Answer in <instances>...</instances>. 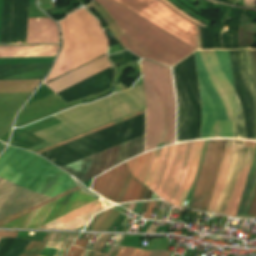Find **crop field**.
Wrapping results in <instances>:
<instances>
[{"label": "crop field", "instance_id": "crop-field-1", "mask_svg": "<svg viewBox=\"0 0 256 256\" xmlns=\"http://www.w3.org/2000/svg\"><path fill=\"white\" fill-rule=\"evenodd\" d=\"M0 175L48 198L76 185L73 178L39 156L8 147L0 156ZM0 176V218L48 198Z\"/></svg>", "mask_w": 256, "mask_h": 256}, {"label": "crop field", "instance_id": "crop-field-2", "mask_svg": "<svg viewBox=\"0 0 256 256\" xmlns=\"http://www.w3.org/2000/svg\"><path fill=\"white\" fill-rule=\"evenodd\" d=\"M202 101L201 139L236 138V97L229 51L195 53Z\"/></svg>", "mask_w": 256, "mask_h": 256}, {"label": "crop field", "instance_id": "crop-field-3", "mask_svg": "<svg viewBox=\"0 0 256 256\" xmlns=\"http://www.w3.org/2000/svg\"><path fill=\"white\" fill-rule=\"evenodd\" d=\"M144 108L143 85L90 105L74 107L53 115L62 123L34 133L46 142L27 150L35 152Z\"/></svg>", "mask_w": 256, "mask_h": 256}, {"label": "crop field", "instance_id": "crop-field-4", "mask_svg": "<svg viewBox=\"0 0 256 256\" xmlns=\"http://www.w3.org/2000/svg\"><path fill=\"white\" fill-rule=\"evenodd\" d=\"M95 1L124 32L121 43L141 57L172 66L196 50L114 0Z\"/></svg>", "mask_w": 256, "mask_h": 256}, {"label": "crop field", "instance_id": "crop-field-5", "mask_svg": "<svg viewBox=\"0 0 256 256\" xmlns=\"http://www.w3.org/2000/svg\"><path fill=\"white\" fill-rule=\"evenodd\" d=\"M203 141L181 143L154 150L143 184L170 204L178 206L185 190H189L191 186Z\"/></svg>", "mask_w": 256, "mask_h": 256}, {"label": "crop field", "instance_id": "crop-field-6", "mask_svg": "<svg viewBox=\"0 0 256 256\" xmlns=\"http://www.w3.org/2000/svg\"><path fill=\"white\" fill-rule=\"evenodd\" d=\"M147 103L146 151L175 143V99L169 68L139 61Z\"/></svg>", "mask_w": 256, "mask_h": 256}, {"label": "crop field", "instance_id": "crop-field-7", "mask_svg": "<svg viewBox=\"0 0 256 256\" xmlns=\"http://www.w3.org/2000/svg\"><path fill=\"white\" fill-rule=\"evenodd\" d=\"M63 49L46 81L55 79L103 54L108 41L96 20L80 9L60 21ZM45 81V83H46Z\"/></svg>", "mask_w": 256, "mask_h": 256}, {"label": "crop field", "instance_id": "crop-field-8", "mask_svg": "<svg viewBox=\"0 0 256 256\" xmlns=\"http://www.w3.org/2000/svg\"><path fill=\"white\" fill-rule=\"evenodd\" d=\"M256 142L228 140L208 212L235 216Z\"/></svg>", "mask_w": 256, "mask_h": 256}, {"label": "crop field", "instance_id": "crop-field-9", "mask_svg": "<svg viewBox=\"0 0 256 256\" xmlns=\"http://www.w3.org/2000/svg\"><path fill=\"white\" fill-rule=\"evenodd\" d=\"M151 152L126 161L132 175L141 183ZM126 163L95 178L91 190L116 203L138 200L142 184L131 175Z\"/></svg>", "mask_w": 256, "mask_h": 256}, {"label": "crop field", "instance_id": "crop-field-10", "mask_svg": "<svg viewBox=\"0 0 256 256\" xmlns=\"http://www.w3.org/2000/svg\"><path fill=\"white\" fill-rule=\"evenodd\" d=\"M147 20L191 45L197 49L196 45V27L188 23L191 21L197 25H203L195 19L189 17L166 0H159L169 9L180 15L171 12L157 0H116Z\"/></svg>", "mask_w": 256, "mask_h": 256}, {"label": "crop field", "instance_id": "crop-field-11", "mask_svg": "<svg viewBox=\"0 0 256 256\" xmlns=\"http://www.w3.org/2000/svg\"><path fill=\"white\" fill-rule=\"evenodd\" d=\"M96 199L99 197L87 195L82 189H79L1 227L37 228Z\"/></svg>", "mask_w": 256, "mask_h": 256}, {"label": "crop field", "instance_id": "crop-field-12", "mask_svg": "<svg viewBox=\"0 0 256 256\" xmlns=\"http://www.w3.org/2000/svg\"><path fill=\"white\" fill-rule=\"evenodd\" d=\"M227 140H210L189 209L207 210Z\"/></svg>", "mask_w": 256, "mask_h": 256}, {"label": "crop field", "instance_id": "crop-field-13", "mask_svg": "<svg viewBox=\"0 0 256 256\" xmlns=\"http://www.w3.org/2000/svg\"><path fill=\"white\" fill-rule=\"evenodd\" d=\"M59 43L58 27L49 18L29 19L26 44Z\"/></svg>", "mask_w": 256, "mask_h": 256}, {"label": "crop field", "instance_id": "crop-field-14", "mask_svg": "<svg viewBox=\"0 0 256 256\" xmlns=\"http://www.w3.org/2000/svg\"><path fill=\"white\" fill-rule=\"evenodd\" d=\"M50 64L0 65V80L43 79Z\"/></svg>", "mask_w": 256, "mask_h": 256}, {"label": "crop field", "instance_id": "crop-field-15", "mask_svg": "<svg viewBox=\"0 0 256 256\" xmlns=\"http://www.w3.org/2000/svg\"><path fill=\"white\" fill-rule=\"evenodd\" d=\"M59 45L0 47V57L55 56Z\"/></svg>", "mask_w": 256, "mask_h": 256}, {"label": "crop field", "instance_id": "crop-field-16", "mask_svg": "<svg viewBox=\"0 0 256 256\" xmlns=\"http://www.w3.org/2000/svg\"><path fill=\"white\" fill-rule=\"evenodd\" d=\"M256 187V150L249 170L237 215L247 216Z\"/></svg>", "mask_w": 256, "mask_h": 256}, {"label": "crop field", "instance_id": "crop-field-17", "mask_svg": "<svg viewBox=\"0 0 256 256\" xmlns=\"http://www.w3.org/2000/svg\"><path fill=\"white\" fill-rule=\"evenodd\" d=\"M50 235L51 233H47L46 237L42 242L27 240L24 243L18 256H39Z\"/></svg>", "mask_w": 256, "mask_h": 256}, {"label": "crop field", "instance_id": "crop-field-18", "mask_svg": "<svg viewBox=\"0 0 256 256\" xmlns=\"http://www.w3.org/2000/svg\"><path fill=\"white\" fill-rule=\"evenodd\" d=\"M13 0H5V12L1 44H9Z\"/></svg>", "mask_w": 256, "mask_h": 256}, {"label": "crop field", "instance_id": "crop-field-19", "mask_svg": "<svg viewBox=\"0 0 256 256\" xmlns=\"http://www.w3.org/2000/svg\"><path fill=\"white\" fill-rule=\"evenodd\" d=\"M119 213L120 212H118L117 210H115L113 208L108 209L107 212L104 214V216L97 223V225L94 227L93 230L107 231V229L110 227V225L113 223V221L119 215Z\"/></svg>", "mask_w": 256, "mask_h": 256}, {"label": "crop field", "instance_id": "crop-field-20", "mask_svg": "<svg viewBox=\"0 0 256 256\" xmlns=\"http://www.w3.org/2000/svg\"><path fill=\"white\" fill-rule=\"evenodd\" d=\"M81 188H83V187L81 186ZM77 189H79L78 186L76 188L72 189V190H69V191L64 192V193H62L60 195H57V196H55V197H53V198H51V199H49V200H47L45 202H42V203H40V204H38V205L28 209V210H25V211L19 212L17 214H14L12 216H9L7 218H4V219L0 220V226L5 224V223H7V222H9V221H11V220H13V219H16V218L22 216V215H24V214H26V213H28L30 211H33V210H35V209H37V208H39V207H41V206H43L45 204H48V203H50V202H52V201H54V200H56V199H58V198H60L62 196H65V195H67V194H69V193H71V192H73V191H75Z\"/></svg>", "mask_w": 256, "mask_h": 256}, {"label": "crop field", "instance_id": "crop-field-21", "mask_svg": "<svg viewBox=\"0 0 256 256\" xmlns=\"http://www.w3.org/2000/svg\"><path fill=\"white\" fill-rule=\"evenodd\" d=\"M99 205H101V203L98 200H96V201H94V202H92V203H90V204H88V205H86V206H84V207L74 211V212H71V213H69V214H67V215H65V216H63V217H61V218H59V219L49 223V224L59 225V224L65 222V221H67V220H69L71 218H74V217H76V216H78V215H80V214H82V213H84L86 211H89V210H91V209H93V208H95V207H97Z\"/></svg>", "mask_w": 256, "mask_h": 256}, {"label": "crop field", "instance_id": "crop-field-22", "mask_svg": "<svg viewBox=\"0 0 256 256\" xmlns=\"http://www.w3.org/2000/svg\"><path fill=\"white\" fill-rule=\"evenodd\" d=\"M144 112H145V110L142 111V112L136 113V114H134V115H131V116H129V117H126V118H124V119H121V120H118V121H116V122H113V123H111V124H108V125H105V126H103V127H100V128H98V129H95V130H93V131L87 132V133L82 134V135H80V136H77V137H75V138L69 139V140L64 141V142H62V143L56 144V145L51 146V147H49V148H46V149H44V150L38 151V152H36V153L39 154V153H41V152L47 151V150L52 149V148H54V147H57V146H59V145L65 144V143L70 142V141H72V140H75V139H77V138L83 137V136L88 135V134H90V133H93V132H95V131L101 130V129L106 128V127H108V126H111V125H113V124L119 123V122L124 121V120H126V119H129V118H131V117H134V116H137V115H139V114H142V113H144Z\"/></svg>", "mask_w": 256, "mask_h": 256}, {"label": "crop field", "instance_id": "crop-field-23", "mask_svg": "<svg viewBox=\"0 0 256 256\" xmlns=\"http://www.w3.org/2000/svg\"><path fill=\"white\" fill-rule=\"evenodd\" d=\"M249 53H250V60H251L255 93H256V50H249Z\"/></svg>", "mask_w": 256, "mask_h": 256}, {"label": "crop field", "instance_id": "crop-field-24", "mask_svg": "<svg viewBox=\"0 0 256 256\" xmlns=\"http://www.w3.org/2000/svg\"><path fill=\"white\" fill-rule=\"evenodd\" d=\"M135 248L123 247L115 252L113 256H130Z\"/></svg>", "mask_w": 256, "mask_h": 256}, {"label": "crop field", "instance_id": "crop-field-25", "mask_svg": "<svg viewBox=\"0 0 256 256\" xmlns=\"http://www.w3.org/2000/svg\"><path fill=\"white\" fill-rule=\"evenodd\" d=\"M106 211L96 215L94 217V219L91 221V223L87 226V228L85 230H92L93 227L96 225V223L99 221V219L103 216V214L105 213Z\"/></svg>", "mask_w": 256, "mask_h": 256}, {"label": "crop field", "instance_id": "crop-field-26", "mask_svg": "<svg viewBox=\"0 0 256 256\" xmlns=\"http://www.w3.org/2000/svg\"><path fill=\"white\" fill-rule=\"evenodd\" d=\"M82 253H83V250H80L76 247H71L69 253L66 256H81Z\"/></svg>", "mask_w": 256, "mask_h": 256}, {"label": "crop field", "instance_id": "crop-field-27", "mask_svg": "<svg viewBox=\"0 0 256 256\" xmlns=\"http://www.w3.org/2000/svg\"><path fill=\"white\" fill-rule=\"evenodd\" d=\"M248 216L256 217V192H255L253 202H252V205H251L250 212H249Z\"/></svg>", "mask_w": 256, "mask_h": 256}, {"label": "crop field", "instance_id": "crop-field-28", "mask_svg": "<svg viewBox=\"0 0 256 256\" xmlns=\"http://www.w3.org/2000/svg\"><path fill=\"white\" fill-rule=\"evenodd\" d=\"M151 251H142L140 249H135L131 256H148Z\"/></svg>", "mask_w": 256, "mask_h": 256}, {"label": "crop field", "instance_id": "crop-field-29", "mask_svg": "<svg viewBox=\"0 0 256 256\" xmlns=\"http://www.w3.org/2000/svg\"><path fill=\"white\" fill-rule=\"evenodd\" d=\"M90 240L88 239H82V240H77L74 245L76 246H80V247H83V248H86V246L88 245Z\"/></svg>", "mask_w": 256, "mask_h": 256}, {"label": "crop field", "instance_id": "crop-field-30", "mask_svg": "<svg viewBox=\"0 0 256 256\" xmlns=\"http://www.w3.org/2000/svg\"><path fill=\"white\" fill-rule=\"evenodd\" d=\"M18 232L14 231H0V239L2 236L16 237Z\"/></svg>", "mask_w": 256, "mask_h": 256}, {"label": "crop field", "instance_id": "crop-field-31", "mask_svg": "<svg viewBox=\"0 0 256 256\" xmlns=\"http://www.w3.org/2000/svg\"><path fill=\"white\" fill-rule=\"evenodd\" d=\"M155 202H156V201H150V202H149L148 209H147V211H146V213H145V215H144L143 218L148 219V217H149V215H150V213H151V211H152V209H153V207H154Z\"/></svg>", "mask_w": 256, "mask_h": 256}, {"label": "crop field", "instance_id": "crop-field-32", "mask_svg": "<svg viewBox=\"0 0 256 256\" xmlns=\"http://www.w3.org/2000/svg\"><path fill=\"white\" fill-rule=\"evenodd\" d=\"M162 251H152V253L149 256H159ZM170 252L163 251L160 256H170Z\"/></svg>", "mask_w": 256, "mask_h": 256}, {"label": "crop field", "instance_id": "crop-field-33", "mask_svg": "<svg viewBox=\"0 0 256 256\" xmlns=\"http://www.w3.org/2000/svg\"><path fill=\"white\" fill-rule=\"evenodd\" d=\"M112 235L110 234H107V236L104 238V240L101 242L100 246L98 247L97 249V252L101 253L105 243L109 240V238L111 237Z\"/></svg>", "mask_w": 256, "mask_h": 256}, {"label": "crop field", "instance_id": "crop-field-34", "mask_svg": "<svg viewBox=\"0 0 256 256\" xmlns=\"http://www.w3.org/2000/svg\"><path fill=\"white\" fill-rule=\"evenodd\" d=\"M40 256H53V254L41 252Z\"/></svg>", "mask_w": 256, "mask_h": 256}, {"label": "crop field", "instance_id": "crop-field-35", "mask_svg": "<svg viewBox=\"0 0 256 256\" xmlns=\"http://www.w3.org/2000/svg\"><path fill=\"white\" fill-rule=\"evenodd\" d=\"M112 255V253L111 254H109V255H105V256H111ZM94 256H102V255H99V254H97V253H95V255Z\"/></svg>", "mask_w": 256, "mask_h": 256}, {"label": "crop field", "instance_id": "crop-field-36", "mask_svg": "<svg viewBox=\"0 0 256 256\" xmlns=\"http://www.w3.org/2000/svg\"><path fill=\"white\" fill-rule=\"evenodd\" d=\"M89 252L88 251H86L84 254H83V256H87V254H88Z\"/></svg>", "mask_w": 256, "mask_h": 256}, {"label": "crop field", "instance_id": "crop-field-37", "mask_svg": "<svg viewBox=\"0 0 256 256\" xmlns=\"http://www.w3.org/2000/svg\"><path fill=\"white\" fill-rule=\"evenodd\" d=\"M93 254H94L93 252H90V254L88 256H93Z\"/></svg>", "mask_w": 256, "mask_h": 256}]
</instances>
